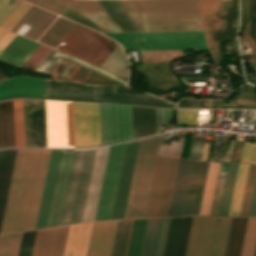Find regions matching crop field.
<instances>
[{"label": "crop field", "instance_id": "0f1d7ab4", "mask_svg": "<svg viewBox=\"0 0 256 256\" xmlns=\"http://www.w3.org/2000/svg\"><path fill=\"white\" fill-rule=\"evenodd\" d=\"M249 216H256V183H255V188H254V193H253L252 204H251Z\"/></svg>", "mask_w": 256, "mask_h": 256}, {"label": "crop field", "instance_id": "ae633e8c", "mask_svg": "<svg viewBox=\"0 0 256 256\" xmlns=\"http://www.w3.org/2000/svg\"><path fill=\"white\" fill-rule=\"evenodd\" d=\"M120 223H121V221H118V223H117L115 237H114L113 246H112V250H111V255L110 256H113V254H114V250H115V245H116V241H117V236H118V232H119Z\"/></svg>", "mask_w": 256, "mask_h": 256}, {"label": "crop field", "instance_id": "db79e9e6", "mask_svg": "<svg viewBox=\"0 0 256 256\" xmlns=\"http://www.w3.org/2000/svg\"><path fill=\"white\" fill-rule=\"evenodd\" d=\"M252 144L244 143L240 162L248 163Z\"/></svg>", "mask_w": 256, "mask_h": 256}, {"label": "crop field", "instance_id": "d23c7cc5", "mask_svg": "<svg viewBox=\"0 0 256 256\" xmlns=\"http://www.w3.org/2000/svg\"><path fill=\"white\" fill-rule=\"evenodd\" d=\"M192 217H182L174 256H184Z\"/></svg>", "mask_w": 256, "mask_h": 256}, {"label": "crop field", "instance_id": "c3a83c6f", "mask_svg": "<svg viewBox=\"0 0 256 256\" xmlns=\"http://www.w3.org/2000/svg\"><path fill=\"white\" fill-rule=\"evenodd\" d=\"M226 112H227V110H224V117H226Z\"/></svg>", "mask_w": 256, "mask_h": 256}, {"label": "crop field", "instance_id": "f0312440", "mask_svg": "<svg viewBox=\"0 0 256 256\" xmlns=\"http://www.w3.org/2000/svg\"><path fill=\"white\" fill-rule=\"evenodd\" d=\"M27 1L31 2L32 0H27Z\"/></svg>", "mask_w": 256, "mask_h": 256}, {"label": "crop field", "instance_id": "28ad6ade", "mask_svg": "<svg viewBox=\"0 0 256 256\" xmlns=\"http://www.w3.org/2000/svg\"><path fill=\"white\" fill-rule=\"evenodd\" d=\"M178 161L157 156L144 218L167 216Z\"/></svg>", "mask_w": 256, "mask_h": 256}, {"label": "crop field", "instance_id": "0fb4a251", "mask_svg": "<svg viewBox=\"0 0 256 256\" xmlns=\"http://www.w3.org/2000/svg\"><path fill=\"white\" fill-rule=\"evenodd\" d=\"M183 138L178 142L171 141V146L160 145L158 154L180 157Z\"/></svg>", "mask_w": 256, "mask_h": 256}, {"label": "crop field", "instance_id": "d1516ede", "mask_svg": "<svg viewBox=\"0 0 256 256\" xmlns=\"http://www.w3.org/2000/svg\"><path fill=\"white\" fill-rule=\"evenodd\" d=\"M101 145L133 139L131 106L99 104Z\"/></svg>", "mask_w": 256, "mask_h": 256}, {"label": "crop field", "instance_id": "e1d0b9f6", "mask_svg": "<svg viewBox=\"0 0 256 256\" xmlns=\"http://www.w3.org/2000/svg\"><path fill=\"white\" fill-rule=\"evenodd\" d=\"M225 143H226V141H223V142L217 141L213 158H215L222 151Z\"/></svg>", "mask_w": 256, "mask_h": 256}, {"label": "crop field", "instance_id": "4177f3b9", "mask_svg": "<svg viewBox=\"0 0 256 256\" xmlns=\"http://www.w3.org/2000/svg\"><path fill=\"white\" fill-rule=\"evenodd\" d=\"M193 160L180 159L168 216L181 215Z\"/></svg>", "mask_w": 256, "mask_h": 256}, {"label": "crop field", "instance_id": "120bbe31", "mask_svg": "<svg viewBox=\"0 0 256 256\" xmlns=\"http://www.w3.org/2000/svg\"><path fill=\"white\" fill-rule=\"evenodd\" d=\"M247 218L233 217L225 256H239Z\"/></svg>", "mask_w": 256, "mask_h": 256}, {"label": "crop field", "instance_id": "c5b07064", "mask_svg": "<svg viewBox=\"0 0 256 256\" xmlns=\"http://www.w3.org/2000/svg\"><path fill=\"white\" fill-rule=\"evenodd\" d=\"M6 79L3 75L0 74V81Z\"/></svg>", "mask_w": 256, "mask_h": 256}, {"label": "crop field", "instance_id": "0765c3eb", "mask_svg": "<svg viewBox=\"0 0 256 256\" xmlns=\"http://www.w3.org/2000/svg\"><path fill=\"white\" fill-rule=\"evenodd\" d=\"M157 127L161 124V109H156ZM170 110L165 109V123H169ZM162 124H164V109H162ZM159 133V131H158Z\"/></svg>", "mask_w": 256, "mask_h": 256}, {"label": "crop field", "instance_id": "ae1a2a85", "mask_svg": "<svg viewBox=\"0 0 256 256\" xmlns=\"http://www.w3.org/2000/svg\"><path fill=\"white\" fill-rule=\"evenodd\" d=\"M17 150L0 151V227Z\"/></svg>", "mask_w": 256, "mask_h": 256}, {"label": "crop field", "instance_id": "00972430", "mask_svg": "<svg viewBox=\"0 0 256 256\" xmlns=\"http://www.w3.org/2000/svg\"><path fill=\"white\" fill-rule=\"evenodd\" d=\"M124 50L208 49L206 40L119 42Z\"/></svg>", "mask_w": 256, "mask_h": 256}, {"label": "crop field", "instance_id": "89e229c0", "mask_svg": "<svg viewBox=\"0 0 256 256\" xmlns=\"http://www.w3.org/2000/svg\"><path fill=\"white\" fill-rule=\"evenodd\" d=\"M70 2L71 0H33L32 1V3L38 6H41L47 10H50L56 14H60Z\"/></svg>", "mask_w": 256, "mask_h": 256}, {"label": "crop field", "instance_id": "214f88e0", "mask_svg": "<svg viewBox=\"0 0 256 256\" xmlns=\"http://www.w3.org/2000/svg\"><path fill=\"white\" fill-rule=\"evenodd\" d=\"M96 92L93 85L47 80L44 96L96 99Z\"/></svg>", "mask_w": 256, "mask_h": 256}, {"label": "crop field", "instance_id": "cbeb9de0", "mask_svg": "<svg viewBox=\"0 0 256 256\" xmlns=\"http://www.w3.org/2000/svg\"><path fill=\"white\" fill-rule=\"evenodd\" d=\"M75 150H62L46 227L60 223Z\"/></svg>", "mask_w": 256, "mask_h": 256}, {"label": "crop field", "instance_id": "c21b1889", "mask_svg": "<svg viewBox=\"0 0 256 256\" xmlns=\"http://www.w3.org/2000/svg\"><path fill=\"white\" fill-rule=\"evenodd\" d=\"M219 163H211L200 214L208 215Z\"/></svg>", "mask_w": 256, "mask_h": 256}, {"label": "crop field", "instance_id": "750c4746", "mask_svg": "<svg viewBox=\"0 0 256 256\" xmlns=\"http://www.w3.org/2000/svg\"><path fill=\"white\" fill-rule=\"evenodd\" d=\"M14 147L12 100L0 102V148Z\"/></svg>", "mask_w": 256, "mask_h": 256}, {"label": "crop field", "instance_id": "fb207236", "mask_svg": "<svg viewBox=\"0 0 256 256\" xmlns=\"http://www.w3.org/2000/svg\"><path fill=\"white\" fill-rule=\"evenodd\" d=\"M228 118H230V111H229V114H228Z\"/></svg>", "mask_w": 256, "mask_h": 256}, {"label": "crop field", "instance_id": "bc2a9ffb", "mask_svg": "<svg viewBox=\"0 0 256 256\" xmlns=\"http://www.w3.org/2000/svg\"><path fill=\"white\" fill-rule=\"evenodd\" d=\"M117 221L94 222L87 256H109Z\"/></svg>", "mask_w": 256, "mask_h": 256}, {"label": "crop field", "instance_id": "ade564c9", "mask_svg": "<svg viewBox=\"0 0 256 256\" xmlns=\"http://www.w3.org/2000/svg\"><path fill=\"white\" fill-rule=\"evenodd\" d=\"M7 31L4 29H0V39L2 38V36L6 33Z\"/></svg>", "mask_w": 256, "mask_h": 256}, {"label": "crop field", "instance_id": "92a150f3", "mask_svg": "<svg viewBox=\"0 0 256 256\" xmlns=\"http://www.w3.org/2000/svg\"><path fill=\"white\" fill-rule=\"evenodd\" d=\"M107 147L97 148L81 222L92 221Z\"/></svg>", "mask_w": 256, "mask_h": 256}, {"label": "crop field", "instance_id": "73cf0c24", "mask_svg": "<svg viewBox=\"0 0 256 256\" xmlns=\"http://www.w3.org/2000/svg\"><path fill=\"white\" fill-rule=\"evenodd\" d=\"M51 50L52 48L41 44L37 50L26 60L22 67L34 70Z\"/></svg>", "mask_w": 256, "mask_h": 256}, {"label": "crop field", "instance_id": "22f410ed", "mask_svg": "<svg viewBox=\"0 0 256 256\" xmlns=\"http://www.w3.org/2000/svg\"><path fill=\"white\" fill-rule=\"evenodd\" d=\"M125 145L110 146L94 220L111 217Z\"/></svg>", "mask_w": 256, "mask_h": 256}, {"label": "crop field", "instance_id": "f4fd0767", "mask_svg": "<svg viewBox=\"0 0 256 256\" xmlns=\"http://www.w3.org/2000/svg\"><path fill=\"white\" fill-rule=\"evenodd\" d=\"M232 217L195 216L185 256H224Z\"/></svg>", "mask_w": 256, "mask_h": 256}, {"label": "crop field", "instance_id": "7b73153f", "mask_svg": "<svg viewBox=\"0 0 256 256\" xmlns=\"http://www.w3.org/2000/svg\"><path fill=\"white\" fill-rule=\"evenodd\" d=\"M190 139H191L190 133H186L181 157L187 158L189 145H190Z\"/></svg>", "mask_w": 256, "mask_h": 256}, {"label": "crop field", "instance_id": "ac0d7876", "mask_svg": "<svg viewBox=\"0 0 256 256\" xmlns=\"http://www.w3.org/2000/svg\"><path fill=\"white\" fill-rule=\"evenodd\" d=\"M47 147L100 145L98 104L45 101Z\"/></svg>", "mask_w": 256, "mask_h": 256}, {"label": "crop field", "instance_id": "dd49c442", "mask_svg": "<svg viewBox=\"0 0 256 256\" xmlns=\"http://www.w3.org/2000/svg\"><path fill=\"white\" fill-rule=\"evenodd\" d=\"M160 137L161 135L146 138L139 142L124 219L143 218L144 216Z\"/></svg>", "mask_w": 256, "mask_h": 256}, {"label": "crop field", "instance_id": "d3111659", "mask_svg": "<svg viewBox=\"0 0 256 256\" xmlns=\"http://www.w3.org/2000/svg\"><path fill=\"white\" fill-rule=\"evenodd\" d=\"M134 139L157 133L155 108L132 106Z\"/></svg>", "mask_w": 256, "mask_h": 256}, {"label": "crop field", "instance_id": "412701ff", "mask_svg": "<svg viewBox=\"0 0 256 256\" xmlns=\"http://www.w3.org/2000/svg\"><path fill=\"white\" fill-rule=\"evenodd\" d=\"M210 50L223 59L220 40H237L238 0H199Z\"/></svg>", "mask_w": 256, "mask_h": 256}, {"label": "crop field", "instance_id": "028f5c9d", "mask_svg": "<svg viewBox=\"0 0 256 256\" xmlns=\"http://www.w3.org/2000/svg\"><path fill=\"white\" fill-rule=\"evenodd\" d=\"M251 15H256V2L255 0H244V27L242 35L250 46L252 57L256 64V45L249 35Z\"/></svg>", "mask_w": 256, "mask_h": 256}, {"label": "crop field", "instance_id": "3316defc", "mask_svg": "<svg viewBox=\"0 0 256 256\" xmlns=\"http://www.w3.org/2000/svg\"><path fill=\"white\" fill-rule=\"evenodd\" d=\"M62 42L67 43L58 50L76 56L98 67L106 60L118 44L103 35L76 24Z\"/></svg>", "mask_w": 256, "mask_h": 256}, {"label": "crop field", "instance_id": "4a817a6b", "mask_svg": "<svg viewBox=\"0 0 256 256\" xmlns=\"http://www.w3.org/2000/svg\"><path fill=\"white\" fill-rule=\"evenodd\" d=\"M169 220L149 219L141 256H162Z\"/></svg>", "mask_w": 256, "mask_h": 256}, {"label": "crop field", "instance_id": "1d79db26", "mask_svg": "<svg viewBox=\"0 0 256 256\" xmlns=\"http://www.w3.org/2000/svg\"><path fill=\"white\" fill-rule=\"evenodd\" d=\"M198 118V109H180L178 124H195Z\"/></svg>", "mask_w": 256, "mask_h": 256}, {"label": "crop field", "instance_id": "9d1cf04e", "mask_svg": "<svg viewBox=\"0 0 256 256\" xmlns=\"http://www.w3.org/2000/svg\"><path fill=\"white\" fill-rule=\"evenodd\" d=\"M204 142L205 138L194 137L189 158L201 160Z\"/></svg>", "mask_w": 256, "mask_h": 256}, {"label": "crop field", "instance_id": "bd1437ed", "mask_svg": "<svg viewBox=\"0 0 256 256\" xmlns=\"http://www.w3.org/2000/svg\"><path fill=\"white\" fill-rule=\"evenodd\" d=\"M115 88H117V87L98 86L97 99L157 103V104L169 105L168 103H166L156 97L150 96L148 94H145V95L120 94L115 91Z\"/></svg>", "mask_w": 256, "mask_h": 256}, {"label": "crop field", "instance_id": "0bd39190", "mask_svg": "<svg viewBox=\"0 0 256 256\" xmlns=\"http://www.w3.org/2000/svg\"><path fill=\"white\" fill-rule=\"evenodd\" d=\"M15 147H24L22 99L13 100Z\"/></svg>", "mask_w": 256, "mask_h": 256}, {"label": "crop field", "instance_id": "c39391a2", "mask_svg": "<svg viewBox=\"0 0 256 256\" xmlns=\"http://www.w3.org/2000/svg\"><path fill=\"white\" fill-rule=\"evenodd\" d=\"M209 146H210V144L205 143L204 153H203V158H202V160H205V161H206L207 155H208Z\"/></svg>", "mask_w": 256, "mask_h": 256}, {"label": "crop field", "instance_id": "730fd06b", "mask_svg": "<svg viewBox=\"0 0 256 256\" xmlns=\"http://www.w3.org/2000/svg\"><path fill=\"white\" fill-rule=\"evenodd\" d=\"M61 150H52L49 161L48 171L46 175L44 190L42 194L41 204L39 208L38 218L36 222L37 228H43L46 225L48 210L50 206L56 171L58 167Z\"/></svg>", "mask_w": 256, "mask_h": 256}, {"label": "crop field", "instance_id": "5d738f31", "mask_svg": "<svg viewBox=\"0 0 256 256\" xmlns=\"http://www.w3.org/2000/svg\"><path fill=\"white\" fill-rule=\"evenodd\" d=\"M181 217L171 218L163 256H173Z\"/></svg>", "mask_w": 256, "mask_h": 256}, {"label": "crop field", "instance_id": "7312dd0a", "mask_svg": "<svg viewBox=\"0 0 256 256\" xmlns=\"http://www.w3.org/2000/svg\"><path fill=\"white\" fill-rule=\"evenodd\" d=\"M254 256H256V249H255V254H254Z\"/></svg>", "mask_w": 256, "mask_h": 256}, {"label": "crop field", "instance_id": "d32e631a", "mask_svg": "<svg viewBox=\"0 0 256 256\" xmlns=\"http://www.w3.org/2000/svg\"><path fill=\"white\" fill-rule=\"evenodd\" d=\"M249 164H239L228 215L238 216Z\"/></svg>", "mask_w": 256, "mask_h": 256}, {"label": "crop field", "instance_id": "b80d0937", "mask_svg": "<svg viewBox=\"0 0 256 256\" xmlns=\"http://www.w3.org/2000/svg\"><path fill=\"white\" fill-rule=\"evenodd\" d=\"M256 244V218H248L240 256H253Z\"/></svg>", "mask_w": 256, "mask_h": 256}, {"label": "crop field", "instance_id": "425ffa30", "mask_svg": "<svg viewBox=\"0 0 256 256\" xmlns=\"http://www.w3.org/2000/svg\"><path fill=\"white\" fill-rule=\"evenodd\" d=\"M30 6L31 4L21 1L11 14L3 21L0 27L10 31Z\"/></svg>", "mask_w": 256, "mask_h": 256}, {"label": "crop field", "instance_id": "1f2cbd36", "mask_svg": "<svg viewBox=\"0 0 256 256\" xmlns=\"http://www.w3.org/2000/svg\"><path fill=\"white\" fill-rule=\"evenodd\" d=\"M35 233L36 231L22 233L18 256H31Z\"/></svg>", "mask_w": 256, "mask_h": 256}, {"label": "crop field", "instance_id": "34b2d1b8", "mask_svg": "<svg viewBox=\"0 0 256 256\" xmlns=\"http://www.w3.org/2000/svg\"><path fill=\"white\" fill-rule=\"evenodd\" d=\"M60 15L98 32L204 31L199 12Z\"/></svg>", "mask_w": 256, "mask_h": 256}, {"label": "crop field", "instance_id": "25e5ab78", "mask_svg": "<svg viewBox=\"0 0 256 256\" xmlns=\"http://www.w3.org/2000/svg\"><path fill=\"white\" fill-rule=\"evenodd\" d=\"M64 56L65 54L53 49L35 70L50 73Z\"/></svg>", "mask_w": 256, "mask_h": 256}, {"label": "crop field", "instance_id": "d8731c3e", "mask_svg": "<svg viewBox=\"0 0 256 256\" xmlns=\"http://www.w3.org/2000/svg\"><path fill=\"white\" fill-rule=\"evenodd\" d=\"M91 223L39 230L32 256H84Z\"/></svg>", "mask_w": 256, "mask_h": 256}, {"label": "crop field", "instance_id": "5866460e", "mask_svg": "<svg viewBox=\"0 0 256 256\" xmlns=\"http://www.w3.org/2000/svg\"><path fill=\"white\" fill-rule=\"evenodd\" d=\"M148 219L134 220L127 256H140Z\"/></svg>", "mask_w": 256, "mask_h": 256}, {"label": "crop field", "instance_id": "dbb93151", "mask_svg": "<svg viewBox=\"0 0 256 256\" xmlns=\"http://www.w3.org/2000/svg\"><path fill=\"white\" fill-rule=\"evenodd\" d=\"M70 56H71V55H70ZM70 56L66 55V56L64 57V59L69 60V61H72L73 63H75V64H77V65H79V66H82V67H84V68H86V69H88V70H90V71L95 72V73L101 74V75H103V76H105V77H107V78H109V79L114 80L115 82H117V83H119V84H121V85L126 86V82H125V81H123V80H121V79H119V78H117V77H115V76H113V75H111V74H109V73H107V72H105V71H103V70H101V69L95 67V66H92V65H90V64H87V63H85V62H83V61H80V60H78V59H76V58H73V57H70Z\"/></svg>", "mask_w": 256, "mask_h": 256}, {"label": "crop field", "instance_id": "d14b1444", "mask_svg": "<svg viewBox=\"0 0 256 256\" xmlns=\"http://www.w3.org/2000/svg\"><path fill=\"white\" fill-rule=\"evenodd\" d=\"M249 163H256V144H253Z\"/></svg>", "mask_w": 256, "mask_h": 256}, {"label": "crop field", "instance_id": "a9b5d70f", "mask_svg": "<svg viewBox=\"0 0 256 256\" xmlns=\"http://www.w3.org/2000/svg\"><path fill=\"white\" fill-rule=\"evenodd\" d=\"M56 16L36 6H31L11 32L15 33L22 23L31 26L24 36L37 40Z\"/></svg>", "mask_w": 256, "mask_h": 256}, {"label": "crop field", "instance_id": "1d83c4d3", "mask_svg": "<svg viewBox=\"0 0 256 256\" xmlns=\"http://www.w3.org/2000/svg\"><path fill=\"white\" fill-rule=\"evenodd\" d=\"M75 23L59 17L39 39L40 43L55 48Z\"/></svg>", "mask_w": 256, "mask_h": 256}, {"label": "crop field", "instance_id": "e1f06a70", "mask_svg": "<svg viewBox=\"0 0 256 256\" xmlns=\"http://www.w3.org/2000/svg\"><path fill=\"white\" fill-rule=\"evenodd\" d=\"M256 177V165L250 164L239 216H248Z\"/></svg>", "mask_w": 256, "mask_h": 256}, {"label": "crop field", "instance_id": "5142ce71", "mask_svg": "<svg viewBox=\"0 0 256 256\" xmlns=\"http://www.w3.org/2000/svg\"><path fill=\"white\" fill-rule=\"evenodd\" d=\"M138 141L127 143L111 219H123Z\"/></svg>", "mask_w": 256, "mask_h": 256}, {"label": "crop field", "instance_id": "03da06ac", "mask_svg": "<svg viewBox=\"0 0 256 256\" xmlns=\"http://www.w3.org/2000/svg\"><path fill=\"white\" fill-rule=\"evenodd\" d=\"M133 220L122 221L114 256H126Z\"/></svg>", "mask_w": 256, "mask_h": 256}, {"label": "crop field", "instance_id": "eef30255", "mask_svg": "<svg viewBox=\"0 0 256 256\" xmlns=\"http://www.w3.org/2000/svg\"><path fill=\"white\" fill-rule=\"evenodd\" d=\"M39 45L40 43L16 35L1 51L0 59L21 66Z\"/></svg>", "mask_w": 256, "mask_h": 256}, {"label": "crop field", "instance_id": "78b8030e", "mask_svg": "<svg viewBox=\"0 0 256 256\" xmlns=\"http://www.w3.org/2000/svg\"><path fill=\"white\" fill-rule=\"evenodd\" d=\"M15 34L7 32L4 37L0 40V51L11 41Z\"/></svg>", "mask_w": 256, "mask_h": 256}, {"label": "crop field", "instance_id": "b54c1fbb", "mask_svg": "<svg viewBox=\"0 0 256 256\" xmlns=\"http://www.w3.org/2000/svg\"><path fill=\"white\" fill-rule=\"evenodd\" d=\"M21 233L0 236V256H17Z\"/></svg>", "mask_w": 256, "mask_h": 256}, {"label": "crop field", "instance_id": "d9b57169", "mask_svg": "<svg viewBox=\"0 0 256 256\" xmlns=\"http://www.w3.org/2000/svg\"><path fill=\"white\" fill-rule=\"evenodd\" d=\"M208 165L194 160L182 215L198 214Z\"/></svg>", "mask_w": 256, "mask_h": 256}, {"label": "crop field", "instance_id": "733c2abd", "mask_svg": "<svg viewBox=\"0 0 256 256\" xmlns=\"http://www.w3.org/2000/svg\"><path fill=\"white\" fill-rule=\"evenodd\" d=\"M45 79L14 77L0 82V98L12 95L43 96Z\"/></svg>", "mask_w": 256, "mask_h": 256}, {"label": "crop field", "instance_id": "5a996713", "mask_svg": "<svg viewBox=\"0 0 256 256\" xmlns=\"http://www.w3.org/2000/svg\"><path fill=\"white\" fill-rule=\"evenodd\" d=\"M96 148L76 150L60 225L81 220Z\"/></svg>", "mask_w": 256, "mask_h": 256}, {"label": "crop field", "instance_id": "447ae74e", "mask_svg": "<svg viewBox=\"0 0 256 256\" xmlns=\"http://www.w3.org/2000/svg\"><path fill=\"white\" fill-rule=\"evenodd\" d=\"M10 1L12 2L8 4ZM19 2L20 0H0V24Z\"/></svg>", "mask_w": 256, "mask_h": 256}, {"label": "crop field", "instance_id": "c035e120", "mask_svg": "<svg viewBox=\"0 0 256 256\" xmlns=\"http://www.w3.org/2000/svg\"><path fill=\"white\" fill-rule=\"evenodd\" d=\"M238 164L230 163L219 215H227Z\"/></svg>", "mask_w": 256, "mask_h": 256}, {"label": "crop field", "instance_id": "e52e79f7", "mask_svg": "<svg viewBox=\"0 0 256 256\" xmlns=\"http://www.w3.org/2000/svg\"><path fill=\"white\" fill-rule=\"evenodd\" d=\"M199 11L196 0L73 1L63 13Z\"/></svg>", "mask_w": 256, "mask_h": 256}, {"label": "crop field", "instance_id": "dafd665d", "mask_svg": "<svg viewBox=\"0 0 256 256\" xmlns=\"http://www.w3.org/2000/svg\"><path fill=\"white\" fill-rule=\"evenodd\" d=\"M115 41L206 39L204 32L103 33Z\"/></svg>", "mask_w": 256, "mask_h": 256}, {"label": "crop field", "instance_id": "8a807250", "mask_svg": "<svg viewBox=\"0 0 256 256\" xmlns=\"http://www.w3.org/2000/svg\"><path fill=\"white\" fill-rule=\"evenodd\" d=\"M51 150H18L0 234L35 227Z\"/></svg>", "mask_w": 256, "mask_h": 256}, {"label": "crop field", "instance_id": "180be81f", "mask_svg": "<svg viewBox=\"0 0 256 256\" xmlns=\"http://www.w3.org/2000/svg\"><path fill=\"white\" fill-rule=\"evenodd\" d=\"M1 74H3L2 72H0ZM4 75V74H3ZM5 76V75H4ZM6 77V76H5ZM7 78V77H6Z\"/></svg>", "mask_w": 256, "mask_h": 256}]
</instances>
